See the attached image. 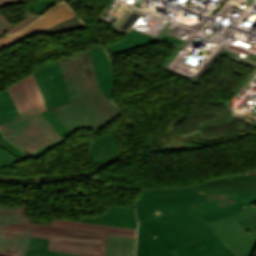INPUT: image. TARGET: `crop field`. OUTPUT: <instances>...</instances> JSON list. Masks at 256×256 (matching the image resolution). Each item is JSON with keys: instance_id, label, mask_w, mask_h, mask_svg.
Here are the masks:
<instances>
[{"instance_id": "crop-field-1", "label": "crop field", "mask_w": 256, "mask_h": 256, "mask_svg": "<svg viewBox=\"0 0 256 256\" xmlns=\"http://www.w3.org/2000/svg\"><path fill=\"white\" fill-rule=\"evenodd\" d=\"M107 235L136 238V230L64 220L31 225L25 207L0 206V256H24L31 236L50 238L48 250L104 256Z\"/></svg>"}, {"instance_id": "crop-field-2", "label": "crop field", "mask_w": 256, "mask_h": 256, "mask_svg": "<svg viewBox=\"0 0 256 256\" xmlns=\"http://www.w3.org/2000/svg\"><path fill=\"white\" fill-rule=\"evenodd\" d=\"M204 201L208 200L199 193L139 200L138 222L174 250L214 234L191 206Z\"/></svg>"}, {"instance_id": "crop-field-3", "label": "crop field", "mask_w": 256, "mask_h": 256, "mask_svg": "<svg viewBox=\"0 0 256 256\" xmlns=\"http://www.w3.org/2000/svg\"><path fill=\"white\" fill-rule=\"evenodd\" d=\"M8 90L22 116L20 119L0 126V131L8 141L29 155L60 139L40 114L47 109L33 74Z\"/></svg>"}, {"instance_id": "crop-field-4", "label": "crop field", "mask_w": 256, "mask_h": 256, "mask_svg": "<svg viewBox=\"0 0 256 256\" xmlns=\"http://www.w3.org/2000/svg\"><path fill=\"white\" fill-rule=\"evenodd\" d=\"M193 186L210 200L193 205L209 223L252 207L249 203L256 201V170Z\"/></svg>"}, {"instance_id": "crop-field-5", "label": "crop field", "mask_w": 256, "mask_h": 256, "mask_svg": "<svg viewBox=\"0 0 256 256\" xmlns=\"http://www.w3.org/2000/svg\"><path fill=\"white\" fill-rule=\"evenodd\" d=\"M218 237L240 256H252L256 240L248 233L256 229V206L209 223Z\"/></svg>"}, {"instance_id": "crop-field-6", "label": "crop field", "mask_w": 256, "mask_h": 256, "mask_svg": "<svg viewBox=\"0 0 256 256\" xmlns=\"http://www.w3.org/2000/svg\"><path fill=\"white\" fill-rule=\"evenodd\" d=\"M71 17H75V14L71 8L65 3L58 4L57 6L49 9L44 16L33 22L22 32L15 35L0 37V50L11 46L18 41H23L29 37H32L37 33L55 26Z\"/></svg>"}, {"instance_id": "crop-field-7", "label": "crop field", "mask_w": 256, "mask_h": 256, "mask_svg": "<svg viewBox=\"0 0 256 256\" xmlns=\"http://www.w3.org/2000/svg\"><path fill=\"white\" fill-rule=\"evenodd\" d=\"M38 72L44 84L47 98L51 103V108L71 101L58 61L44 66Z\"/></svg>"}, {"instance_id": "crop-field-8", "label": "crop field", "mask_w": 256, "mask_h": 256, "mask_svg": "<svg viewBox=\"0 0 256 256\" xmlns=\"http://www.w3.org/2000/svg\"><path fill=\"white\" fill-rule=\"evenodd\" d=\"M80 221L137 229L134 208L118 207L114 205H110L102 216H96L95 218L82 217Z\"/></svg>"}, {"instance_id": "crop-field-9", "label": "crop field", "mask_w": 256, "mask_h": 256, "mask_svg": "<svg viewBox=\"0 0 256 256\" xmlns=\"http://www.w3.org/2000/svg\"><path fill=\"white\" fill-rule=\"evenodd\" d=\"M100 89L111 101L114 73L104 48L89 51Z\"/></svg>"}, {"instance_id": "crop-field-10", "label": "crop field", "mask_w": 256, "mask_h": 256, "mask_svg": "<svg viewBox=\"0 0 256 256\" xmlns=\"http://www.w3.org/2000/svg\"><path fill=\"white\" fill-rule=\"evenodd\" d=\"M228 249L216 234L174 250L178 256H211Z\"/></svg>"}, {"instance_id": "crop-field-11", "label": "crop field", "mask_w": 256, "mask_h": 256, "mask_svg": "<svg viewBox=\"0 0 256 256\" xmlns=\"http://www.w3.org/2000/svg\"><path fill=\"white\" fill-rule=\"evenodd\" d=\"M136 256H176L149 231L139 224Z\"/></svg>"}, {"instance_id": "crop-field-12", "label": "crop field", "mask_w": 256, "mask_h": 256, "mask_svg": "<svg viewBox=\"0 0 256 256\" xmlns=\"http://www.w3.org/2000/svg\"><path fill=\"white\" fill-rule=\"evenodd\" d=\"M89 152L93 164L120 158L115 136L111 133L105 136H96Z\"/></svg>"}, {"instance_id": "crop-field-13", "label": "crop field", "mask_w": 256, "mask_h": 256, "mask_svg": "<svg viewBox=\"0 0 256 256\" xmlns=\"http://www.w3.org/2000/svg\"><path fill=\"white\" fill-rule=\"evenodd\" d=\"M135 240L133 238L108 236L105 256H135Z\"/></svg>"}, {"instance_id": "crop-field-14", "label": "crop field", "mask_w": 256, "mask_h": 256, "mask_svg": "<svg viewBox=\"0 0 256 256\" xmlns=\"http://www.w3.org/2000/svg\"><path fill=\"white\" fill-rule=\"evenodd\" d=\"M17 118H20V115L9 92L6 89L0 93V124Z\"/></svg>"}, {"instance_id": "crop-field-15", "label": "crop field", "mask_w": 256, "mask_h": 256, "mask_svg": "<svg viewBox=\"0 0 256 256\" xmlns=\"http://www.w3.org/2000/svg\"><path fill=\"white\" fill-rule=\"evenodd\" d=\"M197 192L191 185L188 187H178V188H156V189H142L139 199L187 194ZM136 199V200H139Z\"/></svg>"}, {"instance_id": "crop-field-16", "label": "crop field", "mask_w": 256, "mask_h": 256, "mask_svg": "<svg viewBox=\"0 0 256 256\" xmlns=\"http://www.w3.org/2000/svg\"><path fill=\"white\" fill-rule=\"evenodd\" d=\"M34 75L37 79V82H38L40 88H41V91H42V94H43V97H44V100H45V103H46V106H47V109H48V111L42 112V115L45 117V119L48 121V123L51 125V127L57 132V134L61 138H63V137H65L66 135H68L70 133L65 128V126L61 123V121L51 111L49 103H48L47 98H46V94H45V91H44L43 84L41 82V79H40L37 72H35Z\"/></svg>"}, {"instance_id": "crop-field-17", "label": "crop field", "mask_w": 256, "mask_h": 256, "mask_svg": "<svg viewBox=\"0 0 256 256\" xmlns=\"http://www.w3.org/2000/svg\"><path fill=\"white\" fill-rule=\"evenodd\" d=\"M49 239L32 237L28 245L25 256H32L33 253L46 255V256H77L65 253H58L47 251Z\"/></svg>"}, {"instance_id": "crop-field-18", "label": "crop field", "mask_w": 256, "mask_h": 256, "mask_svg": "<svg viewBox=\"0 0 256 256\" xmlns=\"http://www.w3.org/2000/svg\"><path fill=\"white\" fill-rule=\"evenodd\" d=\"M56 3L54 2V0H47V1H35V2H31L29 4V10H33L38 12L39 14L45 13V11L55 5Z\"/></svg>"}, {"instance_id": "crop-field-19", "label": "crop field", "mask_w": 256, "mask_h": 256, "mask_svg": "<svg viewBox=\"0 0 256 256\" xmlns=\"http://www.w3.org/2000/svg\"><path fill=\"white\" fill-rule=\"evenodd\" d=\"M0 146L20 160L27 157L25 153L21 152L18 148L14 147L5 139H3L1 134H0Z\"/></svg>"}, {"instance_id": "crop-field-20", "label": "crop field", "mask_w": 256, "mask_h": 256, "mask_svg": "<svg viewBox=\"0 0 256 256\" xmlns=\"http://www.w3.org/2000/svg\"><path fill=\"white\" fill-rule=\"evenodd\" d=\"M40 18L39 16H34V15H28L26 14V19H24L23 21H21L19 24L14 25L11 29H9L7 31L6 34H13V33H17L20 30H22L23 28H25L26 26H28L29 24H31L33 21H35L36 19Z\"/></svg>"}, {"instance_id": "crop-field-21", "label": "crop field", "mask_w": 256, "mask_h": 256, "mask_svg": "<svg viewBox=\"0 0 256 256\" xmlns=\"http://www.w3.org/2000/svg\"><path fill=\"white\" fill-rule=\"evenodd\" d=\"M13 25L9 23L5 17L0 12V36L4 35L6 31L11 28Z\"/></svg>"}, {"instance_id": "crop-field-22", "label": "crop field", "mask_w": 256, "mask_h": 256, "mask_svg": "<svg viewBox=\"0 0 256 256\" xmlns=\"http://www.w3.org/2000/svg\"><path fill=\"white\" fill-rule=\"evenodd\" d=\"M20 2H23V1L22 0H0V8L7 5L17 4Z\"/></svg>"}, {"instance_id": "crop-field-23", "label": "crop field", "mask_w": 256, "mask_h": 256, "mask_svg": "<svg viewBox=\"0 0 256 256\" xmlns=\"http://www.w3.org/2000/svg\"><path fill=\"white\" fill-rule=\"evenodd\" d=\"M213 256H237L234 252H232L230 249L223 251L221 253H218L216 255Z\"/></svg>"}, {"instance_id": "crop-field-24", "label": "crop field", "mask_w": 256, "mask_h": 256, "mask_svg": "<svg viewBox=\"0 0 256 256\" xmlns=\"http://www.w3.org/2000/svg\"><path fill=\"white\" fill-rule=\"evenodd\" d=\"M249 234L252 235V236L256 239V231L251 232V233H249Z\"/></svg>"}, {"instance_id": "crop-field-25", "label": "crop field", "mask_w": 256, "mask_h": 256, "mask_svg": "<svg viewBox=\"0 0 256 256\" xmlns=\"http://www.w3.org/2000/svg\"><path fill=\"white\" fill-rule=\"evenodd\" d=\"M34 256H41V255H36V254H34Z\"/></svg>"}, {"instance_id": "crop-field-26", "label": "crop field", "mask_w": 256, "mask_h": 256, "mask_svg": "<svg viewBox=\"0 0 256 256\" xmlns=\"http://www.w3.org/2000/svg\"><path fill=\"white\" fill-rule=\"evenodd\" d=\"M2 165H0V167H1Z\"/></svg>"}]
</instances>
